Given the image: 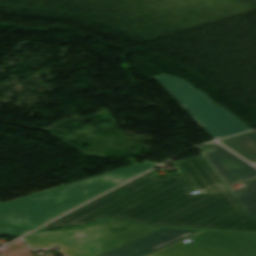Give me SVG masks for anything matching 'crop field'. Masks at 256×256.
<instances>
[{"instance_id":"1","label":"crop field","mask_w":256,"mask_h":256,"mask_svg":"<svg viewBox=\"0 0 256 256\" xmlns=\"http://www.w3.org/2000/svg\"><path fill=\"white\" fill-rule=\"evenodd\" d=\"M173 165L178 171L163 179L148 173L43 228L117 217L142 225L256 231V218L243 212L202 156Z\"/></svg>"},{"instance_id":"2","label":"crop field","mask_w":256,"mask_h":256,"mask_svg":"<svg viewBox=\"0 0 256 256\" xmlns=\"http://www.w3.org/2000/svg\"><path fill=\"white\" fill-rule=\"evenodd\" d=\"M155 166L142 163L77 181L0 206V224L36 228L65 211Z\"/></svg>"},{"instance_id":"3","label":"crop field","mask_w":256,"mask_h":256,"mask_svg":"<svg viewBox=\"0 0 256 256\" xmlns=\"http://www.w3.org/2000/svg\"><path fill=\"white\" fill-rule=\"evenodd\" d=\"M157 229L107 220L79 230L35 231L23 239L32 248L57 245L66 256H95Z\"/></svg>"},{"instance_id":"4","label":"crop field","mask_w":256,"mask_h":256,"mask_svg":"<svg viewBox=\"0 0 256 256\" xmlns=\"http://www.w3.org/2000/svg\"><path fill=\"white\" fill-rule=\"evenodd\" d=\"M162 87L214 139L250 130L226 109L213 104L188 82L166 74L154 77Z\"/></svg>"},{"instance_id":"5","label":"crop field","mask_w":256,"mask_h":256,"mask_svg":"<svg viewBox=\"0 0 256 256\" xmlns=\"http://www.w3.org/2000/svg\"><path fill=\"white\" fill-rule=\"evenodd\" d=\"M208 145L213 150L201 153V155L244 212L256 217V178L243 182L242 184L245 185L243 187L232 188V185L256 176V169L219 144Z\"/></svg>"},{"instance_id":"6","label":"crop field","mask_w":256,"mask_h":256,"mask_svg":"<svg viewBox=\"0 0 256 256\" xmlns=\"http://www.w3.org/2000/svg\"><path fill=\"white\" fill-rule=\"evenodd\" d=\"M152 256H256V234L206 231Z\"/></svg>"},{"instance_id":"7","label":"crop field","mask_w":256,"mask_h":256,"mask_svg":"<svg viewBox=\"0 0 256 256\" xmlns=\"http://www.w3.org/2000/svg\"><path fill=\"white\" fill-rule=\"evenodd\" d=\"M201 231L161 228L98 256H147Z\"/></svg>"},{"instance_id":"8","label":"crop field","mask_w":256,"mask_h":256,"mask_svg":"<svg viewBox=\"0 0 256 256\" xmlns=\"http://www.w3.org/2000/svg\"><path fill=\"white\" fill-rule=\"evenodd\" d=\"M250 163H256V133L254 131L219 141Z\"/></svg>"},{"instance_id":"9","label":"crop field","mask_w":256,"mask_h":256,"mask_svg":"<svg viewBox=\"0 0 256 256\" xmlns=\"http://www.w3.org/2000/svg\"><path fill=\"white\" fill-rule=\"evenodd\" d=\"M28 231H30V229H24V228L12 227V226H3L0 228V236L17 238Z\"/></svg>"},{"instance_id":"10","label":"crop field","mask_w":256,"mask_h":256,"mask_svg":"<svg viewBox=\"0 0 256 256\" xmlns=\"http://www.w3.org/2000/svg\"><path fill=\"white\" fill-rule=\"evenodd\" d=\"M0 204H1V202H0Z\"/></svg>"}]
</instances>
